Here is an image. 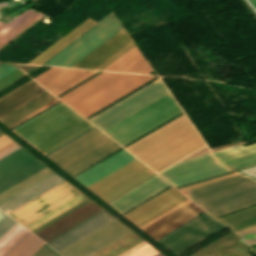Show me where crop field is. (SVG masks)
Segmentation results:
<instances>
[{
  "label": "crop field",
  "instance_id": "obj_19",
  "mask_svg": "<svg viewBox=\"0 0 256 256\" xmlns=\"http://www.w3.org/2000/svg\"><path fill=\"white\" fill-rule=\"evenodd\" d=\"M101 210L91 201L34 234L47 243Z\"/></svg>",
  "mask_w": 256,
  "mask_h": 256
},
{
  "label": "crop field",
  "instance_id": "obj_28",
  "mask_svg": "<svg viewBox=\"0 0 256 256\" xmlns=\"http://www.w3.org/2000/svg\"><path fill=\"white\" fill-rule=\"evenodd\" d=\"M16 69L18 68H16L12 64H4V63L0 64V79L6 76L7 74L13 72Z\"/></svg>",
  "mask_w": 256,
  "mask_h": 256
},
{
  "label": "crop field",
  "instance_id": "obj_23",
  "mask_svg": "<svg viewBox=\"0 0 256 256\" xmlns=\"http://www.w3.org/2000/svg\"><path fill=\"white\" fill-rule=\"evenodd\" d=\"M132 158L134 157L123 149L74 179L86 186Z\"/></svg>",
  "mask_w": 256,
  "mask_h": 256
},
{
  "label": "crop field",
  "instance_id": "obj_26",
  "mask_svg": "<svg viewBox=\"0 0 256 256\" xmlns=\"http://www.w3.org/2000/svg\"><path fill=\"white\" fill-rule=\"evenodd\" d=\"M52 173L54 172H52L50 169L46 167L41 171L35 173L34 175L30 176L29 178L18 183L17 185L13 186L12 188L6 190L5 192L0 194V204L8 200L9 198L13 197L14 195L20 193L21 191L25 190L26 188L30 187L31 185L42 180L43 178L49 176Z\"/></svg>",
  "mask_w": 256,
  "mask_h": 256
},
{
  "label": "crop field",
  "instance_id": "obj_35",
  "mask_svg": "<svg viewBox=\"0 0 256 256\" xmlns=\"http://www.w3.org/2000/svg\"><path fill=\"white\" fill-rule=\"evenodd\" d=\"M3 135L1 132H0V136Z\"/></svg>",
  "mask_w": 256,
  "mask_h": 256
},
{
  "label": "crop field",
  "instance_id": "obj_13",
  "mask_svg": "<svg viewBox=\"0 0 256 256\" xmlns=\"http://www.w3.org/2000/svg\"><path fill=\"white\" fill-rule=\"evenodd\" d=\"M232 171L216 163L211 153L180 161L159 174L175 187Z\"/></svg>",
  "mask_w": 256,
  "mask_h": 256
},
{
  "label": "crop field",
  "instance_id": "obj_31",
  "mask_svg": "<svg viewBox=\"0 0 256 256\" xmlns=\"http://www.w3.org/2000/svg\"><path fill=\"white\" fill-rule=\"evenodd\" d=\"M244 238H256V234H248Z\"/></svg>",
  "mask_w": 256,
  "mask_h": 256
},
{
  "label": "crop field",
  "instance_id": "obj_7",
  "mask_svg": "<svg viewBox=\"0 0 256 256\" xmlns=\"http://www.w3.org/2000/svg\"><path fill=\"white\" fill-rule=\"evenodd\" d=\"M86 199L65 181L8 214L31 231Z\"/></svg>",
  "mask_w": 256,
  "mask_h": 256
},
{
  "label": "crop field",
  "instance_id": "obj_1",
  "mask_svg": "<svg viewBox=\"0 0 256 256\" xmlns=\"http://www.w3.org/2000/svg\"><path fill=\"white\" fill-rule=\"evenodd\" d=\"M95 24L97 22L87 19L29 63L43 65ZM121 27L111 13L44 65L69 67ZM132 47L134 45L122 27L70 67L104 70ZM105 70L145 74L153 72L135 47Z\"/></svg>",
  "mask_w": 256,
  "mask_h": 256
},
{
  "label": "crop field",
  "instance_id": "obj_11",
  "mask_svg": "<svg viewBox=\"0 0 256 256\" xmlns=\"http://www.w3.org/2000/svg\"><path fill=\"white\" fill-rule=\"evenodd\" d=\"M153 174L134 158L86 187L107 202Z\"/></svg>",
  "mask_w": 256,
  "mask_h": 256
},
{
  "label": "crop field",
  "instance_id": "obj_25",
  "mask_svg": "<svg viewBox=\"0 0 256 256\" xmlns=\"http://www.w3.org/2000/svg\"><path fill=\"white\" fill-rule=\"evenodd\" d=\"M42 16L43 15L39 13L28 10L6 25L0 22V28L5 25L0 29V45L37 21Z\"/></svg>",
  "mask_w": 256,
  "mask_h": 256
},
{
  "label": "crop field",
  "instance_id": "obj_4",
  "mask_svg": "<svg viewBox=\"0 0 256 256\" xmlns=\"http://www.w3.org/2000/svg\"><path fill=\"white\" fill-rule=\"evenodd\" d=\"M186 199L172 187L124 216L139 227ZM202 211L188 199L139 228L157 241Z\"/></svg>",
  "mask_w": 256,
  "mask_h": 256
},
{
  "label": "crop field",
  "instance_id": "obj_21",
  "mask_svg": "<svg viewBox=\"0 0 256 256\" xmlns=\"http://www.w3.org/2000/svg\"><path fill=\"white\" fill-rule=\"evenodd\" d=\"M218 162L235 170L256 165V143L233 147L213 154Z\"/></svg>",
  "mask_w": 256,
  "mask_h": 256
},
{
  "label": "crop field",
  "instance_id": "obj_12",
  "mask_svg": "<svg viewBox=\"0 0 256 256\" xmlns=\"http://www.w3.org/2000/svg\"><path fill=\"white\" fill-rule=\"evenodd\" d=\"M166 93L158 79L88 121L103 131Z\"/></svg>",
  "mask_w": 256,
  "mask_h": 256
},
{
  "label": "crop field",
  "instance_id": "obj_34",
  "mask_svg": "<svg viewBox=\"0 0 256 256\" xmlns=\"http://www.w3.org/2000/svg\"><path fill=\"white\" fill-rule=\"evenodd\" d=\"M32 1H33V0H32ZM34 1L37 2V3L39 2V0H34Z\"/></svg>",
  "mask_w": 256,
  "mask_h": 256
},
{
  "label": "crop field",
  "instance_id": "obj_2",
  "mask_svg": "<svg viewBox=\"0 0 256 256\" xmlns=\"http://www.w3.org/2000/svg\"><path fill=\"white\" fill-rule=\"evenodd\" d=\"M204 145L183 115L125 149L159 172Z\"/></svg>",
  "mask_w": 256,
  "mask_h": 256
},
{
  "label": "crop field",
  "instance_id": "obj_16",
  "mask_svg": "<svg viewBox=\"0 0 256 256\" xmlns=\"http://www.w3.org/2000/svg\"><path fill=\"white\" fill-rule=\"evenodd\" d=\"M129 232L115 220L59 253L63 256H89Z\"/></svg>",
  "mask_w": 256,
  "mask_h": 256
},
{
  "label": "crop field",
  "instance_id": "obj_32",
  "mask_svg": "<svg viewBox=\"0 0 256 256\" xmlns=\"http://www.w3.org/2000/svg\"><path fill=\"white\" fill-rule=\"evenodd\" d=\"M256 9V0H249Z\"/></svg>",
  "mask_w": 256,
  "mask_h": 256
},
{
  "label": "crop field",
  "instance_id": "obj_10",
  "mask_svg": "<svg viewBox=\"0 0 256 256\" xmlns=\"http://www.w3.org/2000/svg\"><path fill=\"white\" fill-rule=\"evenodd\" d=\"M56 100L32 80L0 99V119L11 127Z\"/></svg>",
  "mask_w": 256,
  "mask_h": 256
},
{
  "label": "crop field",
  "instance_id": "obj_3",
  "mask_svg": "<svg viewBox=\"0 0 256 256\" xmlns=\"http://www.w3.org/2000/svg\"><path fill=\"white\" fill-rule=\"evenodd\" d=\"M90 124L62 102L12 131L45 155L93 127Z\"/></svg>",
  "mask_w": 256,
  "mask_h": 256
},
{
  "label": "crop field",
  "instance_id": "obj_30",
  "mask_svg": "<svg viewBox=\"0 0 256 256\" xmlns=\"http://www.w3.org/2000/svg\"><path fill=\"white\" fill-rule=\"evenodd\" d=\"M13 143H15V142H13L11 139H9L5 135L0 137V151L5 149L6 147L12 145Z\"/></svg>",
  "mask_w": 256,
  "mask_h": 256
},
{
  "label": "crop field",
  "instance_id": "obj_8",
  "mask_svg": "<svg viewBox=\"0 0 256 256\" xmlns=\"http://www.w3.org/2000/svg\"><path fill=\"white\" fill-rule=\"evenodd\" d=\"M119 148L95 128L46 157L73 177Z\"/></svg>",
  "mask_w": 256,
  "mask_h": 256
},
{
  "label": "crop field",
  "instance_id": "obj_27",
  "mask_svg": "<svg viewBox=\"0 0 256 256\" xmlns=\"http://www.w3.org/2000/svg\"><path fill=\"white\" fill-rule=\"evenodd\" d=\"M25 76H26V74H24L19 69L14 71L13 73L7 75L6 77H4L0 80V90L6 88L7 86L13 84L14 82L20 80L21 78H23Z\"/></svg>",
  "mask_w": 256,
  "mask_h": 256
},
{
  "label": "crop field",
  "instance_id": "obj_9",
  "mask_svg": "<svg viewBox=\"0 0 256 256\" xmlns=\"http://www.w3.org/2000/svg\"><path fill=\"white\" fill-rule=\"evenodd\" d=\"M181 113L168 93L103 132L123 146Z\"/></svg>",
  "mask_w": 256,
  "mask_h": 256
},
{
  "label": "crop field",
  "instance_id": "obj_5",
  "mask_svg": "<svg viewBox=\"0 0 256 256\" xmlns=\"http://www.w3.org/2000/svg\"><path fill=\"white\" fill-rule=\"evenodd\" d=\"M152 78L102 72L59 98L86 118Z\"/></svg>",
  "mask_w": 256,
  "mask_h": 256
},
{
  "label": "crop field",
  "instance_id": "obj_17",
  "mask_svg": "<svg viewBox=\"0 0 256 256\" xmlns=\"http://www.w3.org/2000/svg\"><path fill=\"white\" fill-rule=\"evenodd\" d=\"M169 186L156 174L107 204L121 214Z\"/></svg>",
  "mask_w": 256,
  "mask_h": 256
},
{
  "label": "crop field",
  "instance_id": "obj_29",
  "mask_svg": "<svg viewBox=\"0 0 256 256\" xmlns=\"http://www.w3.org/2000/svg\"><path fill=\"white\" fill-rule=\"evenodd\" d=\"M89 201H91V200H89V199H88V200H86V201L82 202L81 204H79V205L75 206L74 208H72V209L68 210L67 212H65V213L61 214L60 216H58V217H56V218L52 219L51 221H49V222L45 223L44 225H42V226L38 227L37 229H35V230L31 231V232H33V233H34V232H36V231L40 230L41 228H43V227L47 226L48 224H50V223L54 222L55 220H57V219L61 218L62 216H64V215H66V214L70 213L71 211H73V210L77 209L78 207H80V206L84 205L85 203H87V202H89Z\"/></svg>",
  "mask_w": 256,
  "mask_h": 256
},
{
  "label": "crop field",
  "instance_id": "obj_15",
  "mask_svg": "<svg viewBox=\"0 0 256 256\" xmlns=\"http://www.w3.org/2000/svg\"><path fill=\"white\" fill-rule=\"evenodd\" d=\"M223 228L206 212L159 243L177 256Z\"/></svg>",
  "mask_w": 256,
  "mask_h": 256
},
{
  "label": "crop field",
  "instance_id": "obj_24",
  "mask_svg": "<svg viewBox=\"0 0 256 256\" xmlns=\"http://www.w3.org/2000/svg\"><path fill=\"white\" fill-rule=\"evenodd\" d=\"M228 226L234 233L256 226V207L219 219ZM248 233H256V227L236 233L244 237Z\"/></svg>",
  "mask_w": 256,
  "mask_h": 256
},
{
  "label": "crop field",
  "instance_id": "obj_6",
  "mask_svg": "<svg viewBox=\"0 0 256 256\" xmlns=\"http://www.w3.org/2000/svg\"><path fill=\"white\" fill-rule=\"evenodd\" d=\"M181 192L195 203H199L198 205L214 217L256 203V181L240 174L181 190Z\"/></svg>",
  "mask_w": 256,
  "mask_h": 256
},
{
  "label": "crop field",
  "instance_id": "obj_20",
  "mask_svg": "<svg viewBox=\"0 0 256 256\" xmlns=\"http://www.w3.org/2000/svg\"><path fill=\"white\" fill-rule=\"evenodd\" d=\"M115 220L104 210L47 243L58 252Z\"/></svg>",
  "mask_w": 256,
  "mask_h": 256
},
{
  "label": "crop field",
  "instance_id": "obj_33",
  "mask_svg": "<svg viewBox=\"0 0 256 256\" xmlns=\"http://www.w3.org/2000/svg\"><path fill=\"white\" fill-rule=\"evenodd\" d=\"M155 256H163V255H161V254L159 253V254H157V255H155Z\"/></svg>",
  "mask_w": 256,
  "mask_h": 256
},
{
  "label": "crop field",
  "instance_id": "obj_18",
  "mask_svg": "<svg viewBox=\"0 0 256 256\" xmlns=\"http://www.w3.org/2000/svg\"><path fill=\"white\" fill-rule=\"evenodd\" d=\"M95 73L97 72L52 68L33 79L57 96Z\"/></svg>",
  "mask_w": 256,
  "mask_h": 256
},
{
  "label": "crop field",
  "instance_id": "obj_14",
  "mask_svg": "<svg viewBox=\"0 0 256 256\" xmlns=\"http://www.w3.org/2000/svg\"><path fill=\"white\" fill-rule=\"evenodd\" d=\"M17 224L0 210V239ZM44 244L18 224L0 240V256H32Z\"/></svg>",
  "mask_w": 256,
  "mask_h": 256
},
{
  "label": "crop field",
  "instance_id": "obj_22",
  "mask_svg": "<svg viewBox=\"0 0 256 256\" xmlns=\"http://www.w3.org/2000/svg\"><path fill=\"white\" fill-rule=\"evenodd\" d=\"M63 181L65 180L54 173L8 201L2 203L0 205V209L8 213Z\"/></svg>",
  "mask_w": 256,
  "mask_h": 256
}]
</instances>
